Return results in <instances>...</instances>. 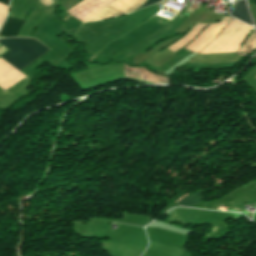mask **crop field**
Listing matches in <instances>:
<instances>
[{
  "label": "crop field",
  "mask_w": 256,
  "mask_h": 256,
  "mask_svg": "<svg viewBox=\"0 0 256 256\" xmlns=\"http://www.w3.org/2000/svg\"><path fill=\"white\" fill-rule=\"evenodd\" d=\"M0 43L11 49L1 58L19 71L49 50L34 39L9 38L0 40Z\"/></svg>",
  "instance_id": "crop-field-1"
},
{
  "label": "crop field",
  "mask_w": 256,
  "mask_h": 256,
  "mask_svg": "<svg viewBox=\"0 0 256 256\" xmlns=\"http://www.w3.org/2000/svg\"><path fill=\"white\" fill-rule=\"evenodd\" d=\"M22 23H23V21H19V20L7 17L5 23L0 31V35L6 36V37L16 36ZM0 37L5 38L2 36H0Z\"/></svg>",
  "instance_id": "crop-field-2"
},
{
  "label": "crop field",
  "mask_w": 256,
  "mask_h": 256,
  "mask_svg": "<svg viewBox=\"0 0 256 256\" xmlns=\"http://www.w3.org/2000/svg\"><path fill=\"white\" fill-rule=\"evenodd\" d=\"M231 15L237 17L238 19H240L241 21L248 23V24H252L251 19H250V15L248 13V10L245 6V2L244 0L239 1L237 3V6L235 8V10L231 13Z\"/></svg>",
  "instance_id": "crop-field-3"
},
{
  "label": "crop field",
  "mask_w": 256,
  "mask_h": 256,
  "mask_svg": "<svg viewBox=\"0 0 256 256\" xmlns=\"http://www.w3.org/2000/svg\"><path fill=\"white\" fill-rule=\"evenodd\" d=\"M205 192L203 189L189 195L188 197L183 198L181 201H179L177 204L181 206H187L192 207L198 202H200L204 197H201L200 194Z\"/></svg>",
  "instance_id": "crop-field-4"
},
{
  "label": "crop field",
  "mask_w": 256,
  "mask_h": 256,
  "mask_svg": "<svg viewBox=\"0 0 256 256\" xmlns=\"http://www.w3.org/2000/svg\"><path fill=\"white\" fill-rule=\"evenodd\" d=\"M125 77L140 80L141 74L125 71Z\"/></svg>",
  "instance_id": "crop-field-5"
},
{
  "label": "crop field",
  "mask_w": 256,
  "mask_h": 256,
  "mask_svg": "<svg viewBox=\"0 0 256 256\" xmlns=\"http://www.w3.org/2000/svg\"><path fill=\"white\" fill-rule=\"evenodd\" d=\"M161 0H148L146 3H144L141 7H139L138 9L140 8H143V7H146V6H149V5H152V4H155L157 2H159Z\"/></svg>",
  "instance_id": "crop-field-6"
},
{
  "label": "crop field",
  "mask_w": 256,
  "mask_h": 256,
  "mask_svg": "<svg viewBox=\"0 0 256 256\" xmlns=\"http://www.w3.org/2000/svg\"><path fill=\"white\" fill-rule=\"evenodd\" d=\"M0 3H3L8 6L9 0H0Z\"/></svg>",
  "instance_id": "crop-field-7"
},
{
  "label": "crop field",
  "mask_w": 256,
  "mask_h": 256,
  "mask_svg": "<svg viewBox=\"0 0 256 256\" xmlns=\"http://www.w3.org/2000/svg\"><path fill=\"white\" fill-rule=\"evenodd\" d=\"M185 193H186V192L180 194L179 196H181V195H183V194H185ZM179 196H177L173 201L175 202V200H176Z\"/></svg>",
  "instance_id": "crop-field-8"
},
{
  "label": "crop field",
  "mask_w": 256,
  "mask_h": 256,
  "mask_svg": "<svg viewBox=\"0 0 256 256\" xmlns=\"http://www.w3.org/2000/svg\"><path fill=\"white\" fill-rule=\"evenodd\" d=\"M187 195H188V194H186V195L182 196V198H183V197H185V196H187ZM182 198H181V199H182ZM179 200H180V199L176 200V202H178ZM176 202H175V203H176Z\"/></svg>",
  "instance_id": "crop-field-9"
},
{
  "label": "crop field",
  "mask_w": 256,
  "mask_h": 256,
  "mask_svg": "<svg viewBox=\"0 0 256 256\" xmlns=\"http://www.w3.org/2000/svg\"><path fill=\"white\" fill-rule=\"evenodd\" d=\"M253 3H256V0H252Z\"/></svg>",
  "instance_id": "crop-field-10"
},
{
  "label": "crop field",
  "mask_w": 256,
  "mask_h": 256,
  "mask_svg": "<svg viewBox=\"0 0 256 256\" xmlns=\"http://www.w3.org/2000/svg\"><path fill=\"white\" fill-rule=\"evenodd\" d=\"M233 19H234V18H233ZM232 21H233V20H232ZM232 21H231V22H232ZM231 22H230V23H231ZM230 23H229V24H230ZM229 24H228V25H229ZM228 25H227V26H228ZM227 26H226V27H227ZM226 27H225V28H226Z\"/></svg>",
  "instance_id": "crop-field-11"
}]
</instances>
